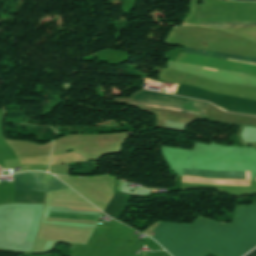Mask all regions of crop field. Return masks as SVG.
Masks as SVG:
<instances>
[{
    "mask_svg": "<svg viewBox=\"0 0 256 256\" xmlns=\"http://www.w3.org/2000/svg\"><path fill=\"white\" fill-rule=\"evenodd\" d=\"M153 233L172 256H242L256 245V205L237 206L232 225L199 216L192 225L161 223Z\"/></svg>",
    "mask_w": 256,
    "mask_h": 256,
    "instance_id": "8a807250",
    "label": "crop field"
},
{
    "mask_svg": "<svg viewBox=\"0 0 256 256\" xmlns=\"http://www.w3.org/2000/svg\"><path fill=\"white\" fill-rule=\"evenodd\" d=\"M40 191L49 192L68 188L56 177L33 172ZM32 172L12 175L14 189L39 191ZM14 190L15 203H44L46 193Z\"/></svg>",
    "mask_w": 256,
    "mask_h": 256,
    "instance_id": "ac0d7876",
    "label": "crop field"
},
{
    "mask_svg": "<svg viewBox=\"0 0 256 256\" xmlns=\"http://www.w3.org/2000/svg\"><path fill=\"white\" fill-rule=\"evenodd\" d=\"M130 104L204 117L208 116L212 107L196 100L147 91L136 94Z\"/></svg>",
    "mask_w": 256,
    "mask_h": 256,
    "instance_id": "34b2d1b8",
    "label": "crop field"
},
{
    "mask_svg": "<svg viewBox=\"0 0 256 256\" xmlns=\"http://www.w3.org/2000/svg\"><path fill=\"white\" fill-rule=\"evenodd\" d=\"M175 94L194 97L200 100L212 102L219 108L226 111L256 115V101H249L241 98L213 94L198 88L180 84L177 85Z\"/></svg>",
    "mask_w": 256,
    "mask_h": 256,
    "instance_id": "412701ff",
    "label": "crop field"
},
{
    "mask_svg": "<svg viewBox=\"0 0 256 256\" xmlns=\"http://www.w3.org/2000/svg\"><path fill=\"white\" fill-rule=\"evenodd\" d=\"M183 175H194L207 178H238L245 179L244 172H230V171H206V170H193L184 169ZM246 179H250V173L245 172Z\"/></svg>",
    "mask_w": 256,
    "mask_h": 256,
    "instance_id": "f4fd0767",
    "label": "crop field"
},
{
    "mask_svg": "<svg viewBox=\"0 0 256 256\" xmlns=\"http://www.w3.org/2000/svg\"><path fill=\"white\" fill-rule=\"evenodd\" d=\"M182 52L256 63V58L227 54V53H220V52L204 51V50L193 49V48H188V47H184L182 50H180L178 53H176L173 57H171L170 60L177 61V59L179 58V56L181 55Z\"/></svg>",
    "mask_w": 256,
    "mask_h": 256,
    "instance_id": "dd49c442",
    "label": "crop field"
},
{
    "mask_svg": "<svg viewBox=\"0 0 256 256\" xmlns=\"http://www.w3.org/2000/svg\"><path fill=\"white\" fill-rule=\"evenodd\" d=\"M128 199V196L114 193L111 200L104 209V212L114 219L119 220L118 218L120 217L122 211L125 209Z\"/></svg>",
    "mask_w": 256,
    "mask_h": 256,
    "instance_id": "e52e79f7",
    "label": "crop field"
},
{
    "mask_svg": "<svg viewBox=\"0 0 256 256\" xmlns=\"http://www.w3.org/2000/svg\"><path fill=\"white\" fill-rule=\"evenodd\" d=\"M196 24L220 27V28H240V27H256V22H193Z\"/></svg>",
    "mask_w": 256,
    "mask_h": 256,
    "instance_id": "d8731c3e",
    "label": "crop field"
},
{
    "mask_svg": "<svg viewBox=\"0 0 256 256\" xmlns=\"http://www.w3.org/2000/svg\"><path fill=\"white\" fill-rule=\"evenodd\" d=\"M48 217L96 221L98 216L49 212Z\"/></svg>",
    "mask_w": 256,
    "mask_h": 256,
    "instance_id": "5a996713",
    "label": "crop field"
},
{
    "mask_svg": "<svg viewBox=\"0 0 256 256\" xmlns=\"http://www.w3.org/2000/svg\"><path fill=\"white\" fill-rule=\"evenodd\" d=\"M247 256H256V250H254L253 252H251L249 255Z\"/></svg>",
    "mask_w": 256,
    "mask_h": 256,
    "instance_id": "3316defc",
    "label": "crop field"
},
{
    "mask_svg": "<svg viewBox=\"0 0 256 256\" xmlns=\"http://www.w3.org/2000/svg\"><path fill=\"white\" fill-rule=\"evenodd\" d=\"M237 1H256V0H237Z\"/></svg>",
    "mask_w": 256,
    "mask_h": 256,
    "instance_id": "28ad6ade",
    "label": "crop field"
},
{
    "mask_svg": "<svg viewBox=\"0 0 256 256\" xmlns=\"http://www.w3.org/2000/svg\"><path fill=\"white\" fill-rule=\"evenodd\" d=\"M207 69H209V68H207ZM210 70H213V69H210ZM216 71H218V70H216ZM220 72V71H219Z\"/></svg>",
    "mask_w": 256,
    "mask_h": 256,
    "instance_id": "d1516ede",
    "label": "crop field"
}]
</instances>
